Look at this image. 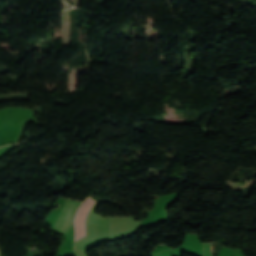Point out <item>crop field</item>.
I'll use <instances>...</instances> for the list:
<instances>
[{
	"label": "crop field",
	"mask_w": 256,
	"mask_h": 256,
	"mask_svg": "<svg viewBox=\"0 0 256 256\" xmlns=\"http://www.w3.org/2000/svg\"><path fill=\"white\" fill-rule=\"evenodd\" d=\"M79 205V202L66 199L53 228L66 234L73 223V218Z\"/></svg>",
	"instance_id": "obj_1"
},
{
	"label": "crop field",
	"mask_w": 256,
	"mask_h": 256,
	"mask_svg": "<svg viewBox=\"0 0 256 256\" xmlns=\"http://www.w3.org/2000/svg\"><path fill=\"white\" fill-rule=\"evenodd\" d=\"M95 201L87 198L84 203L80 206L77 216L75 218V228H76V240L85 236V217L88 214L89 210L93 206Z\"/></svg>",
	"instance_id": "obj_2"
}]
</instances>
